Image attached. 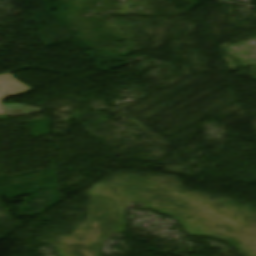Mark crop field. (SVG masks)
I'll return each mask as SVG.
<instances>
[{
    "label": "crop field",
    "mask_w": 256,
    "mask_h": 256,
    "mask_svg": "<svg viewBox=\"0 0 256 256\" xmlns=\"http://www.w3.org/2000/svg\"><path fill=\"white\" fill-rule=\"evenodd\" d=\"M30 89L18 82L10 73L0 75V100Z\"/></svg>",
    "instance_id": "8a807250"
},
{
    "label": "crop field",
    "mask_w": 256,
    "mask_h": 256,
    "mask_svg": "<svg viewBox=\"0 0 256 256\" xmlns=\"http://www.w3.org/2000/svg\"><path fill=\"white\" fill-rule=\"evenodd\" d=\"M0 114H6L1 102H0Z\"/></svg>",
    "instance_id": "ac0d7876"
}]
</instances>
